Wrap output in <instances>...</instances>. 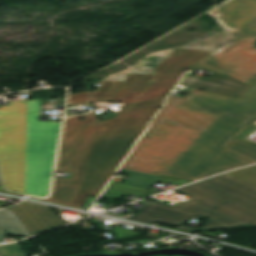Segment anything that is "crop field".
Instances as JSON below:
<instances>
[{
    "mask_svg": "<svg viewBox=\"0 0 256 256\" xmlns=\"http://www.w3.org/2000/svg\"><path fill=\"white\" fill-rule=\"evenodd\" d=\"M230 173L256 184V166L238 169Z\"/></svg>",
    "mask_w": 256,
    "mask_h": 256,
    "instance_id": "crop-field-19",
    "label": "crop field"
},
{
    "mask_svg": "<svg viewBox=\"0 0 256 256\" xmlns=\"http://www.w3.org/2000/svg\"><path fill=\"white\" fill-rule=\"evenodd\" d=\"M27 117L25 193L48 196L61 124Z\"/></svg>",
    "mask_w": 256,
    "mask_h": 256,
    "instance_id": "crop-field-4",
    "label": "crop field"
},
{
    "mask_svg": "<svg viewBox=\"0 0 256 256\" xmlns=\"http://www.w3.org/2000/svg\"><path fill=\"white\" fill-rule=\"evenodd\" d=\"M150 57V55H148V56H146L144 59H142V60H145V59H148Z\"/></svg>",
    "mask_w": 256,
    "mask_h": 256,
    "instance_id": "crop-field-24",
    "label": "crop field"
},
{
    "mask_svg": "<svg viewBox=\"0 0 256 256\" xmlns=\"http://www.w3.org/2000/svg\"><path fill=\"white\" fill-rule=\"evenodd\" d=\"M197 68L214 71L199 64L190 68L189 71H194ZM179 84L220 94H225L233 97H237L242 92V90L247 86V84L227 74L223 75L216 71H214V73L207 79L191 75H185Z\"/></svg>",
    "mask_w": 256,
    "mask_h": 256,
    "instance_id": "crop-field-9",
    "label": "crop field"
},
{
    "mask_svg": "<svg viewBox=\"0 0 256 256\" xmlns=\"http://www.w3.org/2000/svg\"><path fill=\"white\" fill-rule=\"evenodd\" d=\"M199 183L256 205V185L229 173Z\"/></svg>",
    "mask_w": 256,
    "mask_h": 256,
    "instance_id": "crop-field-11",
    "label": "crop field"
},
{
    "mask_svg": "<svg viewBox=\"0 0 256 256\" xmlns=\"http://www.w3.org/2000/svg\"><path fill=\"white\" fill-rule=\"evenodd\" d=\"M3 229H8L12 235L20 234L23 238L31 236L22 222L9 208L0 210V238L6 237Z\"/></svg>",
    "mask_w": 256,
    "mask_h": 256,
    "instance_id": "crop-field-13",
    "label": "crop field"
},
{
    "mask_svg": "<svg viewBox=\"0 0 256 256\" xmlns=\"http://www.w3.org/2000/svg\"><path fill=\"white\" fill-rule=\"evenodd\" d=\"M0 256H25L19 243L0 246Z\"/></svg>",
    "mask_w": 256,
    "mask_h": 256,
    "instance_id": "crop-field-18",
    "label": "crop field"
},
{
    "mask_svg": "<svg viewBox=\"0 0 256 256\" xmlns=\"http://www.w3.org/2000/svg\"><path fill=\"white\" fill-rule=\"evenodd\" d=\"M88 93L70 94L68 106L91 105L88 101Z\"/></svg>",
    "mask_w": 256,
    "mask_h": 256,
    "instance_id": "crop-field-20",
    "label": "crop field"
},
{
    "mask_svg": "<svg viewBox=\"0 0 256 256\" xmlns=\"http://www.w3.org/2000/svg\"><path fill=\"white\" fill-rule=\"evenodd\" d=\"M246 50L254 53V52H256V46L252 45L249 48H247Z\"/></svg>",
    "mask_w": 256,
    "mask_h": 256,
    "instance_id": "crop-field-22",
    "label": "crop field"
},
{
    "mask_svg": "<svg viewBox=\"0 0 256 256\" xmlns=\"http://www.w3.org/2000/svg\"><path fill=\"white\" fill-rule=\"evenodd\" d=\"M189 196L174 207L140 201L147 204L131 220L148 224L160 223L179 227L194 217H205V225L199 230H222L256 226V206L232 196L195 183L177 190ZM180 230L193 232L196 229L183 227Z\"/></svg>",
    "mask_w": 256,
    "mask_h": 256,
    "instance_id": "crop-field-3",
    "label": "crop field"
},
{
    "mask_svg": "<svg viewBox=\"0 0 256 256\" xmlns=\"http://www.w3.org/2000/svg\"><path fill=\"white\" fill-rule=\"evenodd\" d=\"M210 54L177 49L169 58L151 56L136 65L155 66L154 74H128L124 82L102 81L88 92L89 101L125 104L114 119L99 123L73 207L81 208L87 195L98 197L186 68Z\"/></svg>",
    "mask_w": 256,
    "mask_h": 256,
    "instance_id": "crop-field-2",
    "label": "crop field"
},
{
    "mask_svg": "<svg viewBox=\"0 0 256 256\" xmlns=\"http://www.w3.org/2000/svg\"><path fill=\"white\" fill-rule=\"evenodd\" d=\"M43 100L28 101L27 115L40 114Z\"/></svg>",
    "mask_w": 256,
    "mask_h": 256,
    "instance_id": "crop-field-21",
    "label": "crop field"
},
{
    "mask_svg": "<svg viewBox=\"0 0 256 256\" xmlns=\"http://www.w3.org/2000/svg\"><path fill=\"white\" fill-rule=\"evenodd\" d=\"M78 187L79 186L53 185L51 198L43 201L72 207Z\"/></svg>",
    "mask_w": 256,
    "mask_h": 256,
    "instance_id": "crop-field-14",
    "label": "crop field"
},
{
    "mask_svg": "<svg viewBox=\"0 0 256 256\" xmlns=\"http://www.w3.org/2000/svg\"><path fill=\"white\" fill-rule=\"evenodd\" d=\"M154 70H155V67L132 66L104 80L124 81V78L128 73H153Z\"/></svg>",
    "mask_w": 256,
    "mask_h": 256,
    "instance_id": "crop-field-17",
    "label": "crop field"
},
{
    "mask_svg": "<svg viewBox=\"0 0 256 256\" xmlns=\"http://www.w3.org/2000/svg\"><path fill=\"white\" fill-rule=\"evenodd\" d=\"M119 172L130 175L124 184L142 187L146 189H149L151 185L159 178L158 176L123 170V169H120Z\"/></svg>",
    "mask_w": 256,
    "mask_h": 256,
    "instance_id": "crop-field-15",
    "label": "crop field"
},
{
    "mask_svg": "<svg viewBox=\"0 0 256 256\" xmlns=\"http://www.w3.org/2000/svg\"><path fill=\"white\" fill-rule=\"evenodd\" d=\"M218 27L241 37L256 30V0H226L210 12Z\"/></svg>",
    "mask_w": 256,
    "mask_h": 256,
    "instance_id": "crop-field-8",
    "label": "crop field"
},
{
    "mask_svg": "<svg viewBox=\"0 0 256 256\" xmlns=\"http://www.w3.org/2000/svg\"><path fill=\"white\" fill-rule=\"evenodd\" d=\"M240 39L241 37L223 30L204 41L196 40L186 46L179 47V48L204 49L214 54H218ZM175 49H171V50H167V51H163V52H159L151 55L160 56V57H169Z\"/></svg>",
    "mask_w": 256,
    "mask_h": 256,
    "instance_id": "crop-field-12",
    "label": "crop field"
},
{
    "mask_svg": "<svg viewBox=\"0 0 256 256\" xmlns=\"http://www.w3.org/2000/svg\"><path fill=\"white\" fill-rule=\"evenodd\" d=\"M27 101L0 109V168L6 187L24 193Z\"/></svg>",
    "mask_w": 256,
    "mask_h": 256,
    "instance_id": "crop-field-5",
    "label": "crop field"
},
{
    "mask_svg": "<svg viewBox=\"0 0 256 256\" xmlns=\"http://www.w3.org/2000/svg\"><path fill=\"white\" fill-rule=\"evenodd\" d=\"M10 209L23 222L32 235L64 224L49 208L22 203Z\"/></svg>",
    "mask_w": 256,
    "mask_h": 256,
    "instance_id": "crop-field-10",
    "label": "crop field"
},
{
    "mask_svg": "<svg viewBox=\"0 0 256 256\" xmlns=\"http://www.w3.org/2000/svg\"><path fill=\"white\" fill-rule=\"evenodd\" d=\"M256 41V31L227 48L218 55L205 58L199 64L221 73H227L247 84L256 77V53L245 49Z\"/></svg>",
    "mask_w": 256,
    "mask_h": 256,
    "instance_id": "crop-field-7",
    "label": "crop field"
},
{
    "mask_svg": "<svg viewBox=\"0 0 256 256\" xmlns=\"http://www.w3.org/2000/svg\"><path fill=\"white\" fill-rule=\"evenodd\" d=\"M0 192L10 193V192H8L7 190H5V189L2 187V185H0ZM10 194H13V193H10ZM15 195H17V194H15Z\"/></svg>",
    "mask_w": 256,
    "mask_h": 256,
    "instance_id": "crop-field-23",
    "label": "crop field"
},
{
    "mask_svg": "<svg viewBox=\"0 0 256 256\" xmlns=\"http://www.w3.org/2000/svg\"><path fill=\"white\" fill-rule=\"evenodd\" d=\"M255 120L256 78L237 98L194 88L171 95L122 168L196 181L256 163L223 148Z\"/></svg>",
    "mask_w": 256,
    "mask_h": 256,
    "instance_id": "crop-field-1",
    "label": "crop field"
},
{
    "mask_svg": "<svg viewBox=\"0 0 256 256\" xmlns=\"http://www.w3.org/2000/svg\"><path fill=\"white\" fill-rule=\"evenodd\" d=\"M225 148L256 161V147L236 137L232 138Z\"/></svg>",
    "mask_w": 256,
    "mask_h": 256,
    "instance_id": "crop-field-16",
    "label": "crop field"
},
{
    "mask_svg": "<svg viewBox=\"0 0 256 256\" xmlns=\"http://www.w3.org/2000/svg\"><path fill=\"white\" fill-rule=\"evenodd\" d=\"M0 184H2L1 177H0Z\"/></svg>",
    "mask_w": 256,
    "mask_h": 256,
    "instance_id": "crop-field-25",
    "label": "crop field"
},
{
    "mask_svg": "<svg viewBox=\"0 0 256 256\" xmlns=\"http://www.w3.org/2000/svg\"><path fill=\"white\" fill-rule=\"evenodd\" d=\"M79 117L87 118L79 121ZM97 125L95 111L65 119L56 171L73 172V175L72 179H55L54 184L79 185Z\"/></svg>",
    "mask_w": 256,
    "mask_h": 256,
    "instance_id": "crop-field-6",
    "label": "crop field"
}]
</instances>
